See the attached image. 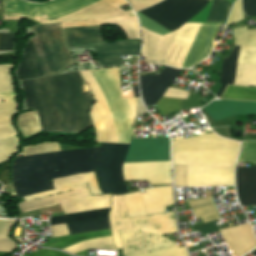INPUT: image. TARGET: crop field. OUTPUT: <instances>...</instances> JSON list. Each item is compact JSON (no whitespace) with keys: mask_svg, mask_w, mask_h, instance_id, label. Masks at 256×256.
Listing matches in <instances>:
<instances>
[{"mask_svg":"<svg viewBox=\"0 0 256 256\" xmlns=\"http://www.w3.org/2000/svg\"><path fill=\"white\" fill-rule=\"evenodd\" d=\"M72 74L75 81L76 90L72 76H61V77H42L50 79L42 80H25L22 81V86L25 91V96L27 100L28 109L34 108L38 110L39 119L41 123L42 130L45 129H83L86 126H92L88 110L92 104V96L90 92H81V85L84 82L79 75V72L68 73ZM62 74V75H68ZM60 76V75H57ZM44 123H42L33 83ZM88 126V127H90ZM87 127V128H88ZM85 128V129H87ZM83 129V130H85ZM55 131H82V130H55Z\"/></svg>","mask_w":256,"mask_h":256,"instance_id":"obj_1","label":"crop field"},{"mask_svg":"<svg viewBox=\"0 0 256 256\" xmlns=\"http://www.w3.org/2000/svg\"><path fill=\"white\" fill-rule=\"evenodd\" d=\"M80 72L96 100L90 113L97 132V142L116 143L117 134V143L129 144L137 98L121 99L119 68L91 70L105 96L116 134L105 99L90 70Z\"/></svg>","mask_w":256,"mask_h":256,"instance_id":"obj_2","label":"crop field"},{"mask_svg":"<svg viewBox=\"0 0 256 256\" xmlns=\"http://www.w3.org/2000/svg\"><path fill=\"white\" fill-rule=\"evenodd\" d=\"M100 148H85L16 158L12 165L18 197L53 190L51 179L92 172Z\"/></svg>","mask_w":256,"mask_h":256,"instance_id":"obj_3","label":"crop field"},{"mask_svg":"<svg viewBox=\"0 0 256 256\" xmlns=\"http://www.w3.org/2000/svg\"><path fill=\"white\" fill-rule=\"evenodd\" d=\"M201 24L186 23L179 31L160 36L143 27L144 39L142 56L145 60L164 63L180 68ZM220 24H202L181 68L191 67L207 57ZM212 46L211 50L213 49Z\"/></svg>","mask_w":256,"mask_h":256,"instance_id":"obj_4","label":"crop field"},{"mask_svg":"<svg viewBox=\"0 0 256 256\" xmlns=\"http://www.w3.org/2000/svg\"><path fill=\"white\" fill-rule=\"evenodd\" d=\"M107 0H54L47 4H33L21 0H3L4 16H28L51 19ZM125 0H110L51 20L36 19L41 24L92 19L127 17L118 6ZM22 17H4V20H21Z\"/></svg>","mask_w":256,"mask_h":256,"instance_id":"obj_5","label":"crop field"},{"mask_svg":"<svg viewBox=\"0 0 256 256\" xmlns=\"http://www.w3.org/2000/svg\"><path fill=\"white\" fill-rule=\"evenodd\" d=\"M117 24L127 38H140L136 17L61 23L62 27ZM69 47H93L102 66L123 65L121 55H139L140 39H126L105 43L101 25L62 28Z\"/></svg>","mask_w":256,"mask_h":256,"instance_id":"obj_6","label":"crop field"},{"mask_svg":"<svg viewBox=\"0 0 256 256\" xmlns=\"http://www.w3.org/2000/svg\"><path fill=\"white\" fill-rule=\"evenodd\" d=\"M129 145L102 143L97 173L104 194H124L123 160ZM125 180L146 179L150 184L171 183L170 161L124 163Z\"/></svg>","mask_w":256,"mask_h":256,"instance_id":"obj_7","label":"crop field"},{"mask_svg":"<svg viewBox=\"0 0 256 256\" xmlns=\"http://www.w3.org/2000/svg\"><path fill=\"white\" fill-rule=\"evenodd\" d=\"M30 28L37 34L32 41L44 76L61 73L78 62L67 49L59 24ZM32 41L24 49V56L17 70L19 80L43 76Z\"/></svg>","mask_w":256,"mask_h":256,"instance_id":"obj_8","label":"crop field"},{"mask_svg":"<svg viewBox=\"0 0 256 256\" xmlns=\"http://www.w3.org/2000/svg\"><path fill=\"white\" fill-rule=\"evenodd\" d=\"M131 221L134 229L119 230L124 256L173 243L161 236L176 232L173 212L135 217L131 218ZM186 254L184 247L176 249L172 244L132 256H182Z\"/></svg>","mask_w":256,"mask_h":256,"instance_id":"obj_9","label":"crop field"},{"mask_svg":"<svg viewBox=\"0 0 256 256\" xmlns=\"http://www.w3.org/2000/svg\"><path fill=\"white\" fill-rule=\"evenodd\" d=\"M239 148L172 153L176 165H187V186L234 185V166Z\"/></svg>","mask_w":256,"mask_h":256,"instance_id":"obj_10","label":"crop field"},{"mask_svg":"<svg viewBox=\"0 0 256 256\" xmlns=\"http://www.w3.org/2000/svg\"><path fill=\"white\" fill-rule=\"evenodd\" d=\"M207 1L163 0L138 13L171 32L200 14L209 4ZM230 6L225 1L214 0L206 21L224 22Z\"/></svg>","mask_w":256,"mask_h":256,"instance_id":"obj_11","label":"crop field"},{"mask_svg":"<svg viewBox=\"0 0 256 256\" xmlns=\"http://www.w3.org/2000/svg\"><path fill=\"white\" fill-rule=\"evenodd\" d=\"M170 160L168 137L131 139L124 162Z\"/></svg>","mask_w":256,"mask_h":256,"instance_id":"obj_12","label":"crop field"},{"mask_svg":"<svg viewBox=\"0 0 256 256\" xmlns=\"http://www.w3.org/2000/svg\"><path fill=\"white\" fill-rule=\"evenodd\" d=\"M180 72L181 70L165 66L160 75L140 76V89L145 105H155Z\"/></svg>","mask_w":256,"mask_h":256,"instance_id":"obj_13","label":"crop field"},{"mask_svg":"<svg viewBox=\"0 0 256 256\" xmlns=\"http://www.w3.org/2000/svg\"><path fill=\"white\" fill-rule=\"evenodd\" d=\"M215 120H221L234 114H256V102L214 99L203 108Z\"/></svg>","mask_w":256,"mask_h":256,"instance_id":"obj_14","label":"crop field"},{"mask_svg":"<svg viewBox=\"0 0 256 256\" xmlns=\"http://www.w3.org/2000/svg\"><path fill=\"white\" fill-rule=\"evenodd\" d=\"M172 152L238 147V143L217 137L214 133L174 140Z\"/></svg>","mask_w":256,"mask_h":256,"instance_id":"obj_15","label":"crop field"},{"mask_svg":"<svg viewBox=\"0 0 256 256\" xmlns=\"http://www.w3.org/2000/svg\"><path fill=\"white\" fill-rule=\"evenodd\" d=\"M58 200L66 214L110 207V195L91 196L90 192Z\"/></svg>","mask_w":256,"mask_h":256,"instance_id":"obj_16","label":"crop field"},{"mask_svg":"<svg viewBox=\"0 0 256 256\" xmlns=\"http://www.w3.org/2000/svg\"><path fill=\"white\" fill-rule=\"evenodd\" d=\"M250 250L256 247V238L249 224L239 226ZM239 227L228 228L220 230L221 235L227 242L232 256H242L249 252V248L244 240V237Z\"/></svg>","mask_w":256,"mask_h":256,"instance_id":"obj_17","label":"crop field"},{"mask_svg":"<svg viewBox=\"0 0 256 256\" xmlns=\"http://www.w3.org/2000/svg\"><path fill=\"white\" fill-rule=\"evenodd\" d=\"M236 182L241 205L256 204V167L236 168Z\"/></svg>","mask_w":256,"mask_h":256,"instance_id":"obj_18","label":"crop field"},{"mask_svg":"<svg viewBox=\"0 0 256 256\" xmlns=\"http://www.w3.org/2000/svg\"><path fill=\"white\" fill-rule=\"evenodd\" d=\"M110 225L116 249L122 248L118 229L133 228L129 219L123 195L112 196V208L110 211Z\"/></svg>","mask_w":256,"mask_h":256,"instance_id":"obj_19","label":"crop field"},{"mask_svg":"<svg viewBox=\"0 0 256 256\" xmlns=\"http://www.w3.org/2000/svg\"><path fill=\"white\" fill-rule=\"evenodd\" d=\"M235 45H256V29H234ZM238 63H256V46H241Z\"/></svg>","mask_w":256,"mask_h":256,"instance_id":"obj_20","label":"crop field"},{"mask_svg":"<svg viewBox=\"0 0 256 256\" xmlns=\"http://www.w3.org/2000/svg\"><path fill=\"white\" fill-rule=\"evenodd\" d=\"M141 194L147 215L166 212L165 205L173 204L171 186L145 190Z\"/></svg>","mask_w":256,"mask_h":256,"instance_id":"obj_21","label":"crop field"},{"mask_svg":"<svg viewBox=\"0 0 256 256\" xmlns=\"http://www.w3.org/2000/svg\"><path fill=\"white\" fill-rule=\"evenodd\" d=\"M196 218L204 223L220 219L211 197L187 200Z\"/></svg>","mask_w":256,"mask_h":256,"instance_id":"obj_22","label":"crop field"},{"mask_svg":"<svg viewBox=\"0 0 256 256\" xmlns=\"http://www.w3.org/2000/svg\"><path fill=\"white\" fill-rule=\"evenodd\" d=\"M240 46H235L227 58L224 57L221 70V82L223 83L216 96L220 98L227 84L233 85Z\"/></svg>","mask_w":256,"mask_h":256,"instance_id":"obj_23","label":"crop field"},{"mask_svg":"<svg viewBox=\"0 0 256 256\" xmlns=\"http://www.w3.org/2000/svg\"><path fill=\"white\" fill-rule=\"evenodd\" d=\"M87 191H89L88 188H85V189L71 191V192L62 193V194H58V195H53V196H49V197H45V198H41V199L29 201V202L18 203L17 206H18L20 212L23 213V212H27V211H31V210H36V209H40V208H44V207L57 205V204H59L57 198L68 196V195H73V194H78V193H82V192H87Z\"/></svg>","mask_w":256,"mask_h":256,"instance_id":"obj_24","label":"crop field"},{"mask_svg":"<svg viewBox=\"0 0 256 256\" xmlns=\"http://www.w3.org/2000/svg\"><path fill=\"white\" fill-rule=\"evenodd\" d=\"M17 126L25 138L32 134L42 132L37 111L20 114Z\"/></svg>","mask_w":256,"mask_h":256,"instance_id":"obj_25","label":"crop field"},{"mask_svg":"<svg viewBox=\"0 0 256 256\" xmlns=\"http://www.w3.org/2000/svg\"><path fill=\"white\" fill-rule=\"evenodd\" d=\"M70 234L109 228L108 217L66 224Z\"/></svg>","mask_w":256,"mask_h":256,"instance_id":"obj_26","label":"crop field"},{"mask_svg":"<svg viewBox=\"0 0 256 256\" xmlns=\"http://www.w3.org/2000/svg\"><path fill=\"white\" fill-rule=\"evenodd\" d=\"M109 235H111L110 229L91 232V233H85V234H79V235H73V236H67V237H60V238H57L59 242L51 244L47 247L63 249L65 247L76 244L83 240L109 236Z\"/></svg>","mask_w":256,"mask_h":256,"instance_id":"obj_27","label":"crop field"},{"mask_svg":"<svg viewBox=\"0 0 256 256\" xmlns=\"http://www.w3.org/2000/svg\"><path fill=\"white\" fill-rule=\"evenodd\" d=\"M87 248L115 250V247L112 244L111 236L83 241L81 243H78V244L73 245L71 247L65 248L63 250L68 251L72 254H75V253H78V252H80L82 250H85Z\"/></svg>","mask_w":256,"mask_h":256,"instance_id":"obj_28","label":"crop field"},{"mask_svg":"<svg viewBox=\"0 0 256 256\" xmlns=\"http://www.w3.org/2000/svg\"><path fill=\"white\" fill-rule=\"evenodd\" d=\"M234 85L256 86V64H238Z\"/></svg>","mask_w":256,"mask_h":256,"instance_id":"obj_29","label":"crop field"},{"mask_svg":"<svg viewBox=\"0 0 256 256\" xmlns=\"http://www.w3.org/2000/svg\"><path fill=\"white\" fill-rule=\"evenodd\" d=\"M109 209L110 208L103 209V210H97V211H91V212H82V213H77V214L53 217L50 220V224L54 225V224H60V223H67V222H73V221L105 217V216H108Z\"/></svg>","mask_w":256,"mask_h":256,"instance_id":"obj_30","label":"crop field"},{"mask_svg":"<svg viewBox=\"0 0 256 256\" xmlns=\"http://www.w3.org/2000/svg\"><path fill=\"white\" fill-rule=\"evenodd\" d=\"M223 98L256 101V88L228 86Z\"/></svg>","mask_w":256,"mask_h":256,"instance_id":"obj_31","label":"crop field"},{"mask_svg":"<svg viewBox=\"0 0 256 256\" xmlns=\"http://www.w3.org/2000/svg\"><path fill=\"white\" fill-rule=\"evenodd\" d=\"M124 197L130 217L146 214L139 191L124 195Z\"/></svg>","mask_w":256,"mask_h":256,"instance_id":"obj_32","label":"crop field"},{"mask_svg":"<svg viewBox=\"0 0 256 256\" xmlns=\"http://www.w3.org/2000/svg\"><path fill=\"white\" fill-rule=\"evenodd\" d=\"M19 146L15 136L0 138V161L13 156Z\"/></svg>","mask_w":256,"mask_h":256,"instance_id":"obj_33","label":"crop field"},{"mask_svg":"<svg viewBox=\"0 0 256 256\" xmlns=\"http://www.w3.org/2000/svg\"><path fill=\"white\" fill-rule=\"evenodd\" d=\"M238 162L256 163V142H242Z\"/></svg>","mask_w":256,"mask_h":256,"instance_id":"obj_34","label":"crop field"},{"mask_svg":"<svg viewBox=\"0 0 256 256\" xmlns=\"http://www.w3.org/2000/svg\"><path fill=\"white\" fill-rule=\"evenodd\" d=\"M56 151H60L58 142H46L34 146L25 147L23 156Z\"/></svg>","mask_w":256,"mask_h":256,"instance_id":"obj_35","label":"crop field"},{"mask_svg":"<svg viewBox=\"0 0 256 256\" xmlns=\"http://www.w3.org/2000/svg\"><path fill=\"white\" fill-rule=\"evenodd\" d=\"M13 64L0 65V93L14 92L9 69Z\"/></svg>","mask_w":256,"mask_h":256,"instance_id":"obj_36","label":"crop field"},{"mask_svg":"<svg viewBox=\"0 0 256 256\" xmlns=\"http://www.w3.org/2000/svg\"><path fill=\"white\" fill-rule=\"evenodd\" d=\"M179 100L180 99L162 97L156 105L163 114V116H165L171 112L180 109Z\"/></svg>","mask_w":256,"mask_h":256,"instance_id":"obj_37","label":"crop field"},{"mask_svg":"<svg viewBox=\"0 0 256 256\" xmlns=\"http://www.w3.org/2000/svg\"><path fill=\"white\" fill-rule=\"evenodd\" d=\"M16 112L17 104L0 103V124L12 122V115Z\"/></svg>","mask_w":256,"mask_h":256,"instance_id":"obj_38","label":"crop field"},{"mask_svg":"<svg viewBox=\"0 0 256 256\" xmlns=\"http://www.w3.org/2000/svg\"><path fill=\"white\" fill-rule=\"evenodd\" d=\"M85 178L84 175H77V176H71V177H65V178H60V179H55L53 180V185L55 189L62 188V187H67L75 184H80L84 183Z\"/></svg>","mask_w":256,"mask_h":256,"instance_id":"obj_39","label":"crop field"},{"mask_svg":"<svg viewBox=\"0 0 256 256\" xmlns=\"http://www.w3.org/2000/svg\"><path fill=\"white\" fill-rule=\"evenodd\" d=\"M85 187H87L86 184H83V185H78V186H73V187L53 190V191H49V192H44V193H40V194L30 195V196H26L24 198H25L26 201H28V200H33V199L41 198V197H44V196L56 194V193H61V192H65V191H69V190H74V189L85 188Z\"/></svg>","mask_w":256,"mask_h":256,"instance_id":"obj_40","label":"crop field"},{"mask_svg":"<svg viewBox=\"0 0 256 256\" xmlns=\"http://www.w3.org/2000/svg\"><path fill=\"white\" fill-rule=\"evenodd\" d=\"M175 168V185L186 186V166H174Z\"/></svg>","mask_w":256,"mask_h":256,"instance_id":"obj_41","label":"crop field"},{"mask_svg":"<svg viewBox=\"0 0 256 256\" xmlns=\"http://www.w3.org/2000/svg\"><path fill=\"white\" fill-rule=\"evenodd\" d=\"M244 15L242 12V4H241V0H238L229 19V23H236L239 21L244 20Z\"/></svg>","mask_w":256,"mask_h":256,"instance_id":"obj_42","label":"crop field"},{"mask_svg":"<svg viewBox=\"0 0 256 256\" xmlns=\"http://www.w3.org/2000/svg\"><path fill=\"white\" fill-rule=\"evenodd\" d=\"M14 34L1 33L0 50H13Z\"/></svg>","mask_w":256,"mask_h":256,"instance_id":"obj_43","label":"crop field"},{"mask_svg":"<svg viewBox=\"0 0 256 256\" xmlns=\"http://www.w3.org/2000/svg\"><path fill=\"white\" fill-rule=\"evenodd\" d=\"M84 175H85L86 181L89 185V188H90L92 194L93 195L102 194L100 189H99L96 177H95V172L86 173Z\"/></svg>","mask_w":256,"mask_h":256,"instance_id":"obj_44","label":"crop field"},{"mask_svg":"<svg viewBox=\"0 0 256 256\" xmlns=\"http://www.w3.org/2000/svg\"><path fill=\"white\" fill-rule=\"evenodd\" d=\"M135 11L149 7L160 0H129Z\"/></svg>","mask_w":256,"mask_h":256,"instance_id":"obj_45","label":"crop field"},{"mask_svg":"<svg viewBox=\"0 0 256 256\" xmlns=\"http://www.w3.org/2000/svg\"><path fill=\"white\" fill-rule=\"evenodd\" d=\"M15 222L12 220H0V237L9 238L8 234Z\"/></svg>","mask_w":256,"mask_h":256,"instance_id":"obj_46","label":"crop field"},{"mask_svg":"<svg viewBox=\"0 0 256 256\" xmlns=\"http://www.w3.org/2000/svg\"><path fill=\"white\" fill-rule=\"evenodd\" d=\"M23 256H27L23 254ZM28 256H70L68 254L62 253L57 250H47V249H41L33 254H30Z\"/></svg>","mask_w":256,"mask_h":256,"instance_id":"obj_47","label":"crop field"},{"mask_svg":"<svg viewBox=\"0 0 256 256\" xmlns=\"http://www.w3.org/2000/svg\"><path fill=\"white\" fill-rule=\"evenodd\" d=\"M243 8L248 16L256 15V0H243Z\"/></svg>","mask_w":256,"mask_h":256,"instance_id":"obj_48","label":"crop field"},{"mask_svg":"<svg viewBox=\"0 0 256 256\" xmlns=\"http://www.w3.org/2000/svg\"><path fill=\"white\" fill-rule=\"evenodd\" d=\"M16 248V243L12 239L0 238V251L12 252Z\"/></svg>","mask_w":256,"mask_h":256,"instance_id":"obj_49","label":"crop field"},{"mask_svg":"<svg viewBox=\"0 0 256 256\" xmlns=\"http://www.w3.org/2000/svg\"><path fill=\"white\" fill-rule=\"evenodd\" d=\"M189 92L187 91H183V90H179V89H175V88H171L169 87V89L167 90V92L164 94V96L167 97H176V98H187Z\"/></svg>","mask_w":256,"mask_h":256,"instance_id":"obj_50","label":"crop field"},{"mask_svg":"<svg viewBox=\"0 0 256 256\" xmlns=\"http://www.w3.org/2000/svg\"><path fill=\"white\" fill-rule=\"evenodd\" d=\"M0 181L6 185L9 184L8 180V160L0 163Z\"/></svg>","mask_w":256,"mask_h":256,"instance_id":"obj_51","label":"crop field"},{"mask_svg":"<svg viewBox=\"0 0 256 256\" xmlns=\"http://www.w3.org/2000/svg\"><path fill=\"white\" fill-rule=\"evenodd\" d=\"M8 135H17L12 126V123L0 125V137Z\"/></svg>","mask_w":256,"mask_h":256,"instance_id":"obj_52","label":"crop field"},{"mask_svg":"<svg viewBox=\"0 0 256 256\" xmlns=\"http://www.w3.org/2000/svg\"><path fill=\"white\" fill-rule=\"evenodd\" d=\"M51 228L53 231V237L69 234L65 224L54 225V226H51Z\"/></svg>","mask_w":256,"mask_h":256,"instance_id":"obj_53","label":"crop field"},{"mask_svg":"<svg viewBox=\"0 0 256 256\" xmlns=\"http://www.w3.org/2000/svg\"><path fill=\"white\" fill-rule=\"evenodd\" d=\"M133 89H134L135 97H139V95H138V87H133Z\"/></svg>","mask_w":256,"mask_h":256,"instance_id":"obj_54","label":"crop field"},{"mask_svg":"<svg viewBox=\"0 0 256 256\" xmlns=\"http://www.w3.org/2000/svg\"><path fill=\"white\" fill-rule=\"evenodd\" d=\"M87 251H88V250L83 251V252H80V253H78L77 255H83V256H86V255H87Z\"/></svg>","mask_w":256,"mask_h":256,"instance_id":"obj_55","label":"crop field"},{"mask_svg":"<svg viewBox=\"0 0 256 256\" xmlns=\"http://www.w3.org/2000/svg\"><path fill=\"white\" fill-rule=\"evenodd\" d=\"M235 192L234 190L227 191V193Z\"/></svg>","mask_w":256,"mask_h":256,"instance_id":"obj_56","label":"crop field"},{"mask_svg":"<svg viewBox=\"0 0 256 256\" xmlns=\"http://www.w3.org/2000/svg\"><path fill=\"white\" fill-rule=\"evenodd\" d=\"M253 256H256V251L252 252Z\"/></svg>","mask_w":256,"mask_h":256,"instance_id":"obj_57","label":"crop field"},{"mask_svg":"<svg viewBox=\"0 0 256 256\" xmlns=\"http://www.w3.org/2000/svg\"><path fill=\"white\" fill-rule=\"evenodd\" d=\"M29 1H32V2H34L33 0H29Z\"/></svg>","mask_w":256,"mask_h":256,"instance_id":"obj_58","label":"crop field"},{"mask_svg":"<svg viewBox=\"0 0 256 256\" xmlns=\"http://www.w3.org/2000/svg\"><path fill=\"white\" fill-rule=\"evenodd\" d=\"M255 208H256V206H255Z\"/></svg>","mask_w":256,"mask_h":256,"instance_id":"obj_59","label":"crop field"}]
</instances>
